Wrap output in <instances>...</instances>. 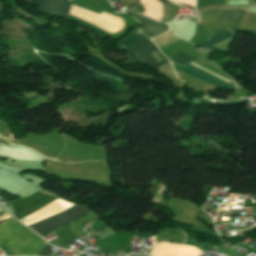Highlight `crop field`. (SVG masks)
Listing matches in <instances>:
<instances>
[{"label": "crop field", "mask_w": 256, "mask_h": 256, "mask_svg": "<svg viewBox=\"0 0 256 256\" xmlns=\"http://www.w3.org/2000/svg\"><path fill=\"white\" fill-rule=\"evenodd\" d=\"M237 30H238V28L223 29V30L211 35L209 40H208V43L206 42L207 45H206V43H202V44H198V45L203 47V48L205 47V45H206V47H210V46H213L217 43H220V42H222L226 39L234 38L236 33H237ZM206 49L221 51V52H228L227 50L218 49V48H214V47H210V48H206Z\"/></svg>", "instance_id": "7"}, {"label": "crop field", "mask_w": 256, "mask_h": 256, "mask_svg": "<svg viewBox=\"0 0 256 256\" xmlns=\"http://www.w3.org/2000/svg\"><path fill=\"white\" fill-rule=\"evenodd\" d=\"M73 205L74 204L57 199L56 201L44 206L43 208L37 210L36 212L32 213L31 215H29L19 221H21L22 223H24L25 225L28 226L35 222L41 221L47 217H50L54 214L62 212Z\"/></svg>", "instance_id": "4"}, {"label": "crop field", "mask_w": 256, "mask_h": 256, "mask_svg": "<svg viewBox=\"0 0 256 256\" xmlns=\"http://www.w3.org/2000/svg\"><path fill=\"white\" fill-rule=\"evenodd\" d=\"M153 21V20H152ZM146 18L142 20L143 22V29L147 35L151 38L160 35L161 33L167 31L169 27L165 26L164 24H160L157 22H152Z\"/></svg>", "instance_id": "8"}, {"label": "crop field", "mask_w": 256, "mask_h": 256, "mask_svg": "<svg viewBox=\"0 0 256 256\" xmlns=\"http://www.w3.org/2000/svg\"><path fill=\"white\" fill-rule=\"evenodd\" d=\"M144 39H146V38L138 32V28H137L127 39L123 40L122 42H120L118 44H120L124 48L128 49V48L134 46L139 41H142Z\"/></svg>", "instance_id": "9"}, {"label": "crop field", "mask_w": 256, "mask_h": 256, "mask_svg": "<svg viewBox=\"0 0 256 256\" xmlns=\"http://www.w3.org/2000/svg\"><path fill=\"white\" fill-rule=\"evenodd\" d=\"M243 13L244 12H242V11L226 10V11H224L221 19L241 21ZM222 22H227V21L221 20L220 23H222Z\"/></svg>", "instance_id": "10"}, {"label": "crop field", "mask_w": 256, "mask_h": 256, "mask_svg": "<svg viewBox=\"0 0 256 256\" xmlns=\"http://www.w3.org/2000/svg\"><path fill=\"white\" fill-rule=\"evenodd\" d=\"M69 6V0H45L37 9L56 17L65 18Z\"/></svg>", "instance_id": "6"}, {"label": "crop field", "mask_w": 256, "mask_h": 256, "mask_svg": "<svg viewBox=\"0 0 256 256\" xmlns=\"http://www.w3.org/2000/svg\"><path fill=\"white\" fill-rule=\"evenodd\" d=\"M198 23H201V13L198 14Z\"/></svg>", "instance_id": "15"}, {"label": "crop field", "mask_w": 256, "mask_h": 256, "mask_svg": "<svg viewBox=\"0 0 256 256\" xmlns=\"http://www.w3.org/2000/svg\"><path fill=\"white\" fill-rule=\"evenodd\" d=\"M29 1H31L32 3H34L38 6L43 2V0H29Z\"/></svg>", "instance_id": "13"}, {"label": "crop field", "mask_w": 256, "mask_h": 256, "mask_svg": "<svg viewBox=\"0 0 256 256\" xmlns=\"http://www.w3.org/2000/svg\"><path fill=\"white\" fill-rule=\"evenodd\" d=\"M127 56L134 62L158 67L167 61L151 40L147 39L130 49Z\"/></svg>", "instance_id": "3"}, {"label": "crop field", "mask_w": 256, "mask_h": 256, "mask_svg": "<svg viewBox=\"0 0 256 256\" xmlns=\"http://www.w3.org/2000/svg\"><path fill=\"white\" fill-rule=\"evenodd\" d=\"M52 246L46 245L45 247L42 248V250L39 252V256H48L51 253Z\"/></svg>", "instance_id": "12"}, {"label": "crop field", "mask_w": 256, "mask_h": 256, "mask_svg": "<svg viewBox=\"0 0 256 256\" xmlns=\"http://www.w3.org/2000/svg\"><path fill=\"white\" fill-rule=\"evenodd\" d=\"M46 244L47 242L15 219L0 225V245L17 255H37Z\"/></svg>", "instance_id": "1"}, {"label": "crop field", "mask_w": 256, "mask_h": 256, "mask_svg": "<svg viewBox=\"0 0 256 256\" xmlns=\"http://www.w3.org/2000/svg\"><path fill=\"white\" fill-rule=\"evenodd\" d=\"M8 218H11V216H9L7 213H5L4 215L0 216V220L8 219Z\"/></svg>", "instance_id": "14"}, {"label": "crop field", "mask_w": 256, "mask_h": 256, "mask_svg": "<svg viewBox=\"0 0 256 256\" xmlns=\"http://www.w3.org/2000/svg\"><path fill=\"white\" fill-rule=\"evenodd\" d=\"M90 211L91 210L85 206L75 205L62 213L54 215L29 227L44 238L51 231L73 222Z\"/></svg>", "instance_id": "2"}, {"label": "crop field", "mask_w": 256, "mask_h": 256, "mask_svg": "<svg viewBox=\"0 0 256 256\" xmlns=\"http://www.w3.org/2000/svg\"><path fill=\"white\" fill-rule=\"evenodd\" d=\"M195 59L189 57V56H186L182 53H178L176 56H174L170 61L171 62H174V63H178V64H181V65H185L191 61H193Z\"/></svg>", "instance_id": "11"}, {"label": "crop field", "mask_w": 256, "mask_h": 256, "mask_svg": "<svg viewBox=\"0 0 256 256\" xmlns=\"http://www.w3.org/2000/svg\"><path fill=\"white\" fill-rule=\"evenodd\" d=\"M173 64V63H172ZM192 64V63H191ZM194 65V64H193ZM196 66V65H195ZM198 67V66H197ZM173 68L175 70H178L182 73H185L189 76H192L194 78L200 79L202 81L208 82L210 84H213L217 87H224V88H228V89H233V85L232 84H228L190 64L185 65V66H179L176 64H173ZM200 68V67H199ZM202 69V68H201ZM204 70V69H203ZM206 71V70H205ZM208 72V71H207ZM210 73V72H209ZM212 74V73H211ZM214 75V74H213ZM216 76V75H215ZM218 77V76H217ZM220 78V77H219ZM222 79V78H221ZM224 80V79H223ZM226 81V80H225ZM228 82V81H227ZM230 83V82H229Z\"/></svg>", "instance_id": "5"}]
</instances>
